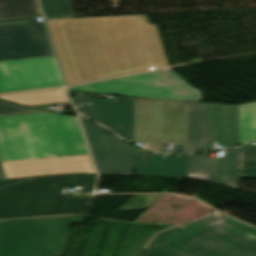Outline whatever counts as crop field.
Returning a JSON list of instances; mask_svg holds the SVG:
<instances>
[{"mask_svg": "<svg viewBox=\"0 0 256 256\" xmlns=\"http://www.w3.org/2000/svg\"><path fill=\"white\" fill-rule=\"evenodd\" d=\"M47 22L67 85L169 65L146 15Z\"/></svg>", "mask_w": 256, "mask_h": 256, "instance_id": "obj_1", "label": "crop field"}, {"mask_svg": "<svg viewBox=\"0 0 256 256\" xmlns=\"http://www.w3.org/2000/svg\"><path fill=\"white\" fill-rule=\"evenodd\" d=\"M77 117L32 113L0 117L6 179L93 173Z\"/></svg>", "mask_w": 256, "mask_h": 256, "instance_id": "obj_2", "label": "crop field"}, {"mask_svg": "<svg viewBox=\"0 0 256 256\" xmlns=\"http://www.w3.org/2000/svg\"><path fill=\"white\" fill-rule=\"evenodd\" d=\"M148 247L169 256H256V228L216 213L161 232Z\"/></svg>", "mask_w": 256, "mask_h": 256, "instance_id": "obj_3", "label": "crop field"}, {"mask_svg": "<svg viewBox=\"0 0 256 256\" xmlns=\"http://www.w3.org/2000/svg\"><path fill=\"white\" fill-rule=\"evenodd\" d=\"M97 175L76 174L41 177L0 190V219L89 213L93 195L80 198L60 194L63 187L84 185L82 193L93 191Z\"/></svg>", "mask_w": 256, "mask_h": 256, "instance_id": "obj_4", "label": "crop field"}, {"mask_svg": "<svg viewBox=\"0 0 256 256\" xmlns=\"http://www.w3.org/2000/svg\"><path fill=\"white\" fill-rule=\"evenodd\" d=\"M58 216L0 221V256H61L71 221Z\"/></svg>", "mask_w": 256, "mask_h": 256, "instance_id": "obj_5", "label": "crop field"}, {"mask_svg": "<svg viewBox=\"0 0 256 256\" xmlns=\"http://www.w3.org/2000/svg\"><path fill=\"white\" fill-rule=\"evenodd\" d=\"M188 102L135 98V142L162 152L165 143L187 154Z\"/></svg>", "mask_w": 256, "mask_h": 256, "instance_id": "obj_6", "label": "crop field"}, {"mask_svg": "<svg viewBox=\"0 0 256 256\" xmlns=\"http://www.w3.org/2000/svg\"><path fill=\"white\" fill-rule=\"evenodd\" d=\"M68 91L126 95L182 101H201V91L192 88L174 72L153 71L67 88Z\"/></svg>", "mask_w": 256, "mask_h": 256, "instance_id": "obj_7", "label": "crop field"}, {"mask_svg": "<svg viewBox=\"0 0 256 256\" xmlns=\"http://www.w3.org/2000/svg\"><path fill=\"white\" fill-rule=\"evenodd\" d=\"M238 146V106L189 102L188 154Z\"/></svg>", "mask_w": 256, "mask_h": 256, "instance_id": "obj_8", "label": "crop field"}, {"mask_svg": "<svg viewBox=\"0 0 256 256\" xmlns=\"http://www.w3.org/2000/svg\"><path fill=\"white\" fill-rule=\"evenodd\" d=\"M54 55L43 22L36 17L0 21V61Z\"/></svg>", "mask_w": 256, "mask_h": 256, "instance_id": "obj_9", "label": "crop field"}, {"mask_svg": "<svg viewBox=\"0 0 256 256\" xmlns=\"http://www.w3.org/2000/svg\"><path fill=\"white\" fill-rule=\"evenodd\" d=\"M64 86L54 56L0 62V93Z\"/></svg>", "mask_w": 256, "mask_h": 256, "instance_id": "obj_10", "label": "crop field"}, {"mask_svg": "<svg viewBox=\"0 0 256 256\" xmlns=\"http://www.w3.org/2000/svg\"><path fill=\"white\" fill-rule=\"evenodd\" d=\"M81 122L99 174L132 175V153L135 147L119 141L83 118Z\"/></svg>", "mask_w": 256, "mask_h": 256, "instance_id": "obj_11", "label": "crop field"}, {"mask_svg": "<svg viewBox=\"0 0 256 256\" xmlns=\"http://www.w3.org/2000/svg\"><path fill=\"white\" fill-rule=\"evenodd\" d=\"M71 100L80 114L134 143V98L117 96L115 101H111L76 94Z\"/></svg>", "mask_w": 256, "mask_h": 256, "instance_id": "obj_12", "label": "crop field"}, {"mask_svg": "<svg viewBox=\"0 0 256 256\" xmlns=\"http://www.w3.org/2000/svg\"><path fill=\"white\" fill-rule=\"evenodd\" d=\"M237 152L223 159H206V154L188 157V178H199L238 189Z\"/></svg>", "mask_w": 256, "mask_h": 256, "instance_id": "obj_13", "label": "crop field"}, {"mask_svg": "<svg viewBox=\"0 0 256 256\" xmlns=\"http://www.w3.org/2000/svg\"><path fill=\"white\" fill-rule=\"evenodd\" d=\"M135 175L187 178V157L170 158L137 150Z\"/></svg>", "mask_w": 256, "mask_h": 256, "instance_id": "obj_14", "label": "crop field"}, {"mask_svg": "<svg viewBox=\"0 0 256 256\" xmlns=\"http://www.w3.org/2000/svg\"><path fill=\"white\" fill-rule=\"evenodd\" d=\"M256 141V103L239 105V143Z\"/></svg>", "mask_w": 256, "mask_h": 256, "instance_id": "obj_15", "label": "crop field"}, {"mask_svg": "<svg viewBox=\"0 0 256 256\" xmlns=\"http://www.w3.org/2000/svg\"><path fill=\"white\" fill-rule=\"evenodd\" d=\"M41 14L37 0H0V18Z\"/></svg>", "mask_w": 256, "mask_h": 256, "instance_id": "obj_16", "label": "crop field"}, {"mask_svg": "<svg viewBox=\"0 0 256 256\" xmlns=\"http://www.w3.org/2000/svg\"><path fill=\"white\" fill-rule=\"evenodd\" d=\"M239 177L256 178V148L239 151Z\"/></svg>", "mask_w": 256, "mask_h": 256, "instance_id": "obj_17", "label": "crop field"}, {"mask_svg": "<svg viewBox=\"0 0 256 256\" xmlns=\"http://www.w3.org/2000/svg\"><path fill=\"white\" fill-rule=\"evenodd\" d=\"M46 17L74 16L69 0H41Z\"/></svg>", "mask_w": 256, "mask_h": 256, "instance_id": "obj_18", "label": "crop field"}, {"mask_svg": "<svg viewBox=\"0 0 256 256\" xmlns=\"http://www.w3.org/2000/svg\"><path fill=\"white\" fill-rule=\"evenodd\" d=\"M164 194L137 195L121 210L148 208L153 205Z\"/></svg>", "mask_w": 256, "mask_h": 256, "instance_id": "obj_19", "label": "crop field"}, {"mask_svg": "<svg viewBox=\"0 0 256 256\" xmlns=\"http://www.w3.org/2000/svg\"><path fill=\"white\" fill-rule=\"evenodd\" d=\"M26 111H39V110H29L21 106L11 104L9 102L0 101V114L2 113H14V112H26Z\"/></svg>", "mask_w": 256, "mask_h": 256, "instance_id": "obj_20", "label": "crop field"}, {"mask_svg": "<svg viewBox=\"0 0 256 256\" xmlns=\"http://www.w3.org/2000/svg\"><path fill=\"white\" fill-rule=\"evenodd\" d=\"M28 179H32V178H28ZM28 179L0 180V188L6 187V186H9V185L18 183V182H22V181H25V180H28Z\"/></svg>", "mask_w": 256, "mask_h": 256, "instance_id": "obj_21", "label": "crop field"}, {"mask_svg": "<svg viewBox=\"0 0 256 256\" xmlns=\"http://www.w3.org/2000/svg\"><path fill=\"white\" fill-rule=\"evenodd\" d=\"M141 256H166V255L146 247V249L144 250Z\"/></svg>", "mask_w": 256, "mask_h": 256, "instance_id": "obj_22", "label": "crop field"}, {"mask_svg": "<svg viewBox=\"0 0 256 256\" xmlns=\"http://www.w3.org/2000/svg\"><path fill=\"white\" fill-rule=\"evenodd\" d=\"M0 179H5L1 166H0Z\"/></svg>", "mask_w": 256, "mask_h": 256, "instance_id": "obj_23", "label": "crop field"}]
</instances>
